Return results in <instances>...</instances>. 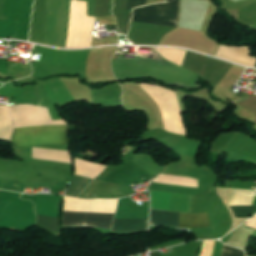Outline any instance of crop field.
<instances>
[{
  "label": "crop field",
  "mask_w": 256,
  "mask_h": 256,
  "mask_svg": "<svg viewBox=\"0 0 256 256\" xmlns=\"http://www.w3.org/2000/svg\"><path fill=\"white\" fill-rule=\"evenodd\" d=\"M63 218L81 219V220L112 221L113 216L64 211ZM111 223L112 222L80 221V220L63 219V227L92 226V227H100V228L110 229Z\"/></svg>",
  "instance_id": "4"
},
{
  "label": "crop field",
  "mask_w": 256,
  "mask_h": 256,
  "mask_svg": "<svg viewBox=\"0 0 256 256\" xmlns=\"http://www.w3.org/2000/svg\"><path fill=\"white\" fill-rule=\"evenodd\" d=\"M145 2L146 0H128L126 11L133 9L134 7L143 6Z\"/></svg>",
  "instance_id": "9"
},
{
  "label": "crop field",
  "mask_w": 256,
  "mask_h": 256,
  "mask_svg": "<svg viewBox=\"0 0 256 256\" xmlns=\"http://www.w3.org/2000/svg\"><path fill=\"white\" fill-rule=\"evenodd\" d=\"M229 207L233 210L236 217H247L256 208L254 206H229Z\"/></svg>",
  "instance_id": "7"
},
{
  "label": "crop field",
  "mask_w": 256,
  "mask_h": 256,
  "mask_svg": "<svg viewBox=\"0 0 256 256\" xmlns=\"http://www.w3.org/2000/svg\"><path fill=\"white\" fill-rule=\"evenodd\" d=\"M221 256H244V252L234 247L223 245Z\"/></svg>",
  "instance_id": "8"
},
{
  "label": "crop field",
  "mask_w": 256,
  "mask_h": 256,
  "mask_svg": "<svg viewBox=\"0 0 256 256\" xmlns=\"http://www.w3.org/2000/svg\"><path fill=\"white\" fill-rule=\"evenodd\" d=\"M178 8L179 0L144 6L134 9L132 21L176 27Z\"/></svg>",
  "instance_id": "2"
},
{
  "label": "crop field",
  "mask_w": 256,
  "mask_h": 256,
  "mask_svg": "<svg viewBox=\"0 0 256 256\" xmlns=\"http://www.w3.org/2000/svg\"><path fill=\"white\" fill-rule=\"evenodd\" d=\"M148 220H114L111 230L138 231L147 230Z\"/></svg>",
  "instance_id": "5"
},
{
  "label": "crop field",
  "mask_w": 256,
  "mask_h": 256,
  "mask_svg": "<svg viewBox=\"0 0 256 256\" xmlns=\"http://www.w3.org/2000/svg\"><path fill=\"white\" fill-rule=\"evenodd\" d=\"M14 147L36 144H68V127H38L14 129Z\"/></svg>",
  "instance_id": "1"
},
{
  "label": "crop field",
  "mask_w": 256,
  "mask_h": 256,
  "mask_svg": "<svg viewBox=\"0 0 256 256\" xmlns=\"http://www.w3.org/2000/svg\"><path fill=\"white\" fill-rule=\"evenodd\" d=\"M37 225L51 231L61 233L60 216L37 215Z\"/></svg>",
  "instance_id": "6"
},
{
  "label": "crop field",
  "mask_w": 256,
  "mask_h": 256,
  "mask_svg": "<svg viewBox=\"0 0 256 256\" xmlns=\"http://www.w3.org/2000/svg\"><path fill=\"white\" fill-rule=\"evenodd\" d=\"M179 213L151 210V226L178 227ZM209 226L208 213H180L179 227L198 228Z\"/></svg>",
  "instance_id": "3"
}]
</instances>
